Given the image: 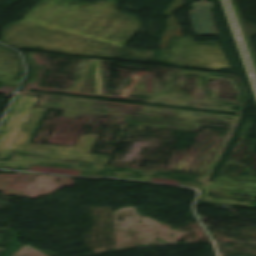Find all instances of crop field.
<instances>
[{
	"label": "crop field",
	"mask_w": 256,
	"mask_h": 256,
	"mask_svg": "<svg viewBox=\"0 0 256 256\" xmlns=\"http://www.w3.org/2000/svg\"><path fill=\"white\" fill-rule=\"evenodd\" d=\"M193 6L194 10L190 14L196 34L205 35L216 33L209 11L214 6L213 3L200 0V2L193 3Z\"/></svg>",
	"instance_id": "obj_2"
},
{
	"label": "crop field",
	"mask_w": 256,
	"mask_h": 256,
	"mask_svg": "<svg viewBox=\"0 0 256 256\" xmlns=\"http://www.w3.org/2000/svg\"><path fill=\"white\" fill-rule=\"evenodd\" d=\"M37 97L18 95L0 130V159L7 157ZM47 109L35 108L12 152L108 164L112 156L90 154L98 137H80L75 148L30 144Z\"/></svg>",
	"instance_id": "obj_1"
}]
</instances>
